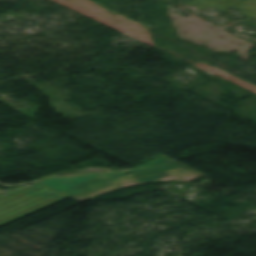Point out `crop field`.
Returning <instances> with one entry per match:
<instances>
[{"label": "crop field", "mask_w": 256, "mask_h": 256, "mask_svg": "<svg viewBox=\"0 0 256 256\" xmlns=\"http://www.w3.org/2000/svg\"><path fill=\"white\" fill-rule=\"evenodd\" d=\"M204 175L178 161L168 163L162 166L145 169L131 173L127 176L117 178L100 186L94 187L82 193L71 196L79 202H84L97 194L105 193L113 189L137 185L146 182H155V181H188L190 179L196 178L198 176Z\"/></svg>", "instance_id": "8a807250"}, {"label": "crop field", "mask_w": 256, "mask_h": 256, "mask_svg": "<svg viewBox=\"0 0 256 256\" xmlns=\"http://www.w3.org/2000/svg\"><path fill=\"white\" fill-rule=\"evenodd\" d=\"M66 196L37 184L11 196L0 195V226L64 200Z\"/></svg>", "instance_id": "ac0d7876"}, {"label": "crop field", "mask_w": 256, "mask_h": 256, "mask_svg": "<svg viewBox=\"0 0 256 256\" xmlns=\"http://www.w3.org/2000/svg\"><path fill=\"white\" fill-rule=\"evenodd\" d=\"M121 175L123 174L118 171H108L101 173H85L78 176L62 178L47 177L38 182L69 196L87 188L115 179Z\"/></svg>", "instance_id": "34b2d1b8"}, {"label": "crop field", "mask_w": 256, "mask_h": 256, "mask_svg": "<svg viewBox=\"0 0 256 256\" xmlns=\"http://www.w3.org/2000/svg\"><path fill=\"white\" fill-rule=\"evenodd\" d=\"M170 161H174L173 159L167 157V156H162V157H159V158H155L147 163H144L138 167H135L129 171H136V170H140V169H144V168H148V167H152V166H156V165H159V164H163V163H166V162H170Z\"/></svg>", "instance_id": "412701ff"}]
</instances>
